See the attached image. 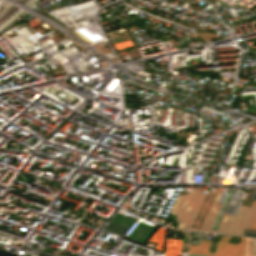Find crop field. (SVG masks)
<instances>
[{
  "instance_id": "obj_1",
  "label": "crop field",
  "mask_w": 256,
  "mask_h": 256,
  "mask_svg": "<svg viewBox=\"0 0 256 256\" xmlns=\"http://www.w3.org/2000/svg\"><path fill=\"white\" fill-rule=\"evenodd\" d=\"M204 187L192 189L190 193L183 196L178 195L173 204L170 213L178 215L175 222L178 224L176 229L201 231V232H217L224 234L243 236L244 229H250L256 217V200H254L251 208L241 206L236 216L223 213L217 230H210L214 218L220 207L217 204L224 188H220L210 211L200 230L190 228L206 195L201 194ZM243 213H240V212ZM251 229H256V219Z\"/></svg>"
},
{
  "instance_id": "obj_3",
  "label": "crop field",
  "mask_w": 256,
  "mask_h": 256,
  "mask_svg": "<svg viewBox=\"0 0 256 256\" xmlns=\"http://www.w3.org/2000/svg\"><path fill=\"white\" fill-rule=\"evenodd\" d=\"M232 193H233V191L231 189L229 194H228V196H227V198H226V200H225V202H224V204H223V206H222V208H221V210H220V212H219V214H218V216H217V219H216L215 224H214L212 229H216L217 228V225H218V222L220 220L221 214H222V212H223V210H224V208H225L229 198L231 197Z\"/></svg>"
},
{
  "instance_id": "obj_6",
  "label": "crop field",
  "mask_w": 256,
  "mask_h": 256,
  "mask_svg": "<svg viewBox=\"0 0 256 256\" xmlns=\"http://www.w3.org/2000/svg\"><path fill=\"white\" fill-rule=\"evenodd\" d=\"M255 256H256V246H255Z\"/></svg>"
},
{
  "instance_id": "obj_5",
  "label": "crop field",
  "mask_w": 256,
  "mask_h": 256,
  "mask_svg": "<svg viewBox=\"0 0 256 256\" xmlns=\"http://www.w3.org/2000/svg\"><path fill=\"white\" fill-rule=\"evenodd\" d=\"M188 256H206V255H193V254H188Z\"/></svg>"
},
{
  "instance_id": "obj_2",
  "label": "crop field",
  "mask_w": 256,
  "mask_h": 256,
  "mask_svg": "<svg viewBox=\"0 0 256 256\" xmlns=\"http://www.w3.org/2000/svg\"><path fill=\"white\" fill-rule=\"evenodd\" d=\"M230 237H222L217 242L215 253H209L210 241L200 240V246L190 245L188 253L208 254L215 256H245L246 238H242L239 244H229L227 241ZM225 241V243H223ZM223 248V249H222ZM240 251V253H238Z\"/></svg>"
},
{
  "instance_id": "obj_4",
  "label": "crop field",
  "mask_w": 256,
  "mask_h": 256,
  "mask_svg": "<svg viewBox=\"0 0 256 256\" xmlns=\"http://www.w3.org/2000/svg\"><path fill=\"white\" fill-rule=\"evenodd\" d=\"M250 249H251V239L249 238V245H248V256H250Z\"/></svg>"
}]
</instances>
